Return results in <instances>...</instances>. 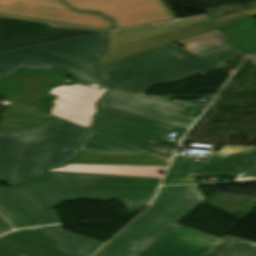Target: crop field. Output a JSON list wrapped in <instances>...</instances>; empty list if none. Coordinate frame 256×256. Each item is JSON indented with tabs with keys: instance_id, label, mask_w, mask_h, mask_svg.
Masks as SVG:
<instances>
[{
	"instance_id": "obj_2",
	"label": "crop field",
	"mask_w": 256,
	"mask_h": 256,
	"mask_svg": "<svg viewBox=\"0 0 256 256\" xmlns=\"http://www.w3.org/2000/svg\"><path fill=\"white\" fill-rule=\"evenodd\" d=\"M159 180L46 173L41 180L5 188L40 224L60 223L54 208L79 199L123 200L129 212L149 203Z\"/></svg>"
},
{
	"instance_id": "obj_12",
	"label": "crop field",
	"mask_w": 256,
	"mask_h": 256,
	"mask_svg": "<svg viewBox=\"0 0 256 256\" xmlns=\"http://www.w3.org/2000/svg\"><path fill=\"white\" fill-rule=\"evenodd\" d=\"M56 91L58 93H55ZM50 94L60 96L55 101L53 115L89 128L93 123V115L97 112L95 103L103 97L105 92L74 85L55 88Z\"/></svg>"
},
{
	"instance_id": "obj_19",
	"label": "crop field",
	"mask_w": 256,
	"mask_h": 256,
	"mask_svg": "<svg viewBox=\"0 0 256 256\" xmlns=\"http://www.w3.org/2000/svg\"><path fill=\"white\" fill-rule=\"evenodd\" d=\"M246 54L256 51V19L253 17L220 28Z\"/></svg>"
},
{
	"instance_id": "obj_14",
	"label": "crop field",
	"mask_w": 256,
	"mask_h": 256,
	"mask_svg": "<svg viewBox=\"0 0 256 256\" xmlns=\"http://www.w3.org/2000/svg\"><path fill=\"white\" fill-rule=\"evenodd\" d=\"M185 49L218 66L224 61L245 54L219 29H215L195 37L177 42Z\"/></svg>"
},
{
	"instance_id": "obj_4",
	"label": "crop field",
	"mask_w": 256,
	"mask_h": 256,
	"mask_svg": "<svg viewBox=\"0 0 256 256\" xmlns=\"http://www.w3.org/2000/svg\"><path fill=\"white\" fill-rule=\"evenodd\" d=\"M218 67L175 45H168L97 70L112 91L144 94L153 85L177 82Z\"/></svg>"
},
{
	"instance_id": "obj_8",
	"label": "crop field",
	"mask_w": 256,
	"mask_h": 256,
	"mask_svg": "<svg viewBox=\"0 0 256 256\" xmlns=\"http://www.w3.org/2000/svg\"><path fill=\"white\" fill-rule=\"evenodd\" d=\"M0 15L46 21L55 26L112 29L111 20L77 12L61 0H0Z\"/></svg>"
},
{
	"instance_id": "obj_9",
	"label": "crop field",
	"mask_w": 256,
	"mask_h": 256,
	"mask_svg": "<svg viewBox=\"0 0 256 256\" xmlns=\"http://www.w3.org/2000/svg\"><path fill=\"white\" fill-rule=\"evenodd\" d=\"M97 33L102 32L53 28L46 23L0 17V52Z\"/></svg>"
},
{
	"instance_id": "obj_7",
	"label": "crop field",
	"mask_w": 256,
	"mask_h": 256,
	"mask_svg": "<svg viewBox=\"0 0 256 256\" xmlns=\"http://www.w3.org/2000/svg\"><path fill=\"white\" fill-rule=\"evenodd\" d=\"M100 106L97 123L92 130L113 137L138 148L171 159L174 149L160 145L168 138L164 136L179 127Z\"/></svg>"
},
{
	"instance_id": "obj_26",
	"label": "crop field",
	"mask_w": 256,
	"mask_h": 256,
	"mask_svg": "<svg viewBox=\"0 0 256 256\" xmlns=\"http://www.w3.org/2000/svg\"><path fill=\"white\" fill-rule=\"evenodd\" d=\"M0 256H23V255L0 248Z\"/></svg>"
},
{
	"instance_id": "obj_3",
	"label": "crop field",
	"mask_w": 256,
	"mask_h": 256,
	"mask_svg": "<svg viewBox=\"0 0 256 256\" xmlns=\"http://www.w3.org/2000/svg\"><path fill=\"white\" fill-rule=\"evenodd\" d=\"M86 128L54 117L31 129L0 131V181L16 184L40 177L43 168L77 154Z\"/></svg>"
},
{
	"instance_id": "obj_25",
	"label": "crop field",
	"mask_w": 256,
	"mask_h": 256,
	"mask_svg": "<svg viewBox=\"0 0 256 256\" xmlns=\"http://www.w3.org/2000/svg\"><path fill=\"white\" fill-rule=\"evenodd\" d=\"M13 230L6 221L0 216V235Z\"/></svg>"
},
{
	"instance_id": "obj_22",
	"label": "crop field",
	"mask_w": 256,
	"mask_h": 256,
	"mask_svg": "<svg viewBox=\"0 0 256 256\" xmlns=\"http://www.w3.org/2000/svg\"><path fill=\"white\" fill-rule=\"evenodd\" d=\"M80 151L146 152L92 130H89Z\"/></svg>"
},
{
	"instance_id": "obj_15",
	"label": "crop field",
	"mask_w": 256,
	"mask_h": 256,
	"mask_svg": "<svg viewBox=\"0 0 256 256\" xmlns=\"http://www.w3.org/2000/svg\"><path fill=\"white\" fill-rule=\"evenodd\" d=\"M0 247L26 255L39 256L68 255L42 228L10 233L0 238Z\"/></svg>"
},
{
	"instance_id": "obj_6",
	"label": "crop field",
	"mask_w": 256,
	"mask_h": 256,
	"mask_svg": "<svg viewBox=\"0 0 256 256\" xmlns=\"http://www.w3.org/2000/svg\"><path fill=\"white\" fill-rule=\"evenodd\" d=\"M104 33L56 43L38 45L20 50L0 53V78L8 76L21 67L26 69L65 68L72 72L80 84L107 90L93 74V65L72 60L37 49L43 48L71 57L94 62L99 52L105 50Z\"/></svg>"
},
{
	"instance_id": "obj_30",
	"label": "crop field",
	"mask_w": 256,
	"mask_h": 256,
	"mask_svg": "<svg viewBox=\"0 0 256 256\" xmlns=\"http://www.w3.org/2000/svg\"><path fill=\"white\" fill-rule=\"evenodd\" d=\"M244 181H256V178H254V179L237 180L236 182H244Z\"/></svg>"
},
{
	"instance_id": "obj_21",
	"label": "crop field",
	"mask_w": 256,
	"mask_h": 256,
	"mask_svg": "<svg viewBox=\"0 0 256 256\" xmlns=\"http://www.w3.org/2000/svg\"><path fill=\"white\" fill-rule=\"evenodd\" d=\"M203 256H256V244L225 235Z\"/></svg>"
},
{
	"instance_id": "obj_28",
	"label": "crop field",
	"mask_w": 256,
	"mask_h": 256,
	"mask_svg": "<svg viewBox=\"0 0 256 256\" xmlns=\"http://www.w3.org/2000/svg\"><path fill=\"white\" fill-rule=\"evenodd\" d=\"M8 107V104H6L5 102H0V110H6Z\"/></svg>"
},
{
	"instance_id": "obj_13",
	"label": "crop field",
	"mask_w": 256,
	"mask_h": 256,
	"mask_svg": "<svg viewBox=\"0 0 256 256\" xmlns=\"http://www.w3.org/2000/svg\"><path fill=\"white\" fill-rule=\"evenodd\" d=\"M218 240L176 224L140 256H202Z\"/></svg>"
},
{
	"instance_id": "obj_29",
	"label": "crop field",
	"mask_w": 256,
	"mask_h": 256,
	"mask_svg": "<svg viewBox=\"0 0 256 256\" xmlns=\"http://www.w3.org/2000/svg\"><path fill=\"white\" fill-rule=\"evenodd\" d=\"M243 12H248L252 16H255L256 15V8L255 9H251V10H247V11H243Z\"/></svg>"
},
{
	"instance_id": "obj_10",
	"label": "crop field",
	"mask_w": 256,
	"mask_h": 256,
	"mask_svg": "<svg viewBox=\"0 0 256 256\" xmlns=\"http://www.w3.org/2000/svg\"><path fill=\"white\" fill-rule=\"evenodd\" d=\"M190 159L176 156L162 185L175 184L188 171L241 172L256 160V147L224 146L201 164H192Z\"/></svg>"
},
{
	"instance_id": "obj_5",
	"label": "crop field",
	"mask_w": 256,
	"mask_h": 256,
	"mask_svg": "<svg viewBox=\"0 0 256 256\" xmlns=\"http://www.w3.org/2000/svg\"><path fill=\"white\" fill-rule=\"evenodd\" d=\"M204 201L196 185L162 187L155 203L94 256H138Z\"/></svg>"
},
{
	"instance_id": "obj_18",
	"label": "crop field",
	"mask_w": 256,
	"mask_h": 256,
	"mask_svg": "<svg viewBox=\"0 0 256 256\" xmlns=\"http://www.w3.org/2000/svg\"><path fill=\"white\" fill-rule=\"evenodd\" d=\"M70 256H91L104 243L61 230L60 225L43 228Z\"/></svg>"
},
{
	"instance_id": "obj_16",
	"label": "crop field",
	"mask_w": 256,
	"mask_h": 256,
	"mask_svg": "<svg viewBox=\"0 0 256 256\" xmlns=\"http://www.w3.org/2000/svg\"><path fill=\"white\" fill-rule=\"evenodd\" d=\"M69 163L167 166L168 159L147 153L81 152Z\"/></svg>"
},
{
	"instance_id": "obj_31",
	"label": "crop field",
	"mask_w": 256,
	"mask_h": 256,
	"mask_svg": "<svg viewBox=\"0 0 256 256\" xmlns=\"http://www.w3.org/2000/svg\"><path fill=\"white\" fill-rule=\"evenodd\" d=\"M43 50V49H42ZM50 52V51H49ZM52 53H54V52H52ZM57 54V53H56ZM59 55H61V54H59ZM62 56H64V55H62ZM66 57H68V56H66ZM69 58H71V57H69ZM73 59H75V58H73ZM77 60H79V59H77ZM82 61V60H81ZM86 62V61H85Z\"/></svg>"
},
{
	"instance_id": "obj_11",
	"label": "crop field",
	"mask_w": 256,
	"mask_h": 256,
	"mask_svg": "<svg viewBox=\"0 0 256 256\" xmlns=\"http://www.w3.org/2000/svg\"><path fill=\"white\" fill-rule=\"evenodd\" d=\"M100 104L186 129H189L196 120L180 115L189 104L177 101L170 102L162 98L109 92Z\"/></svg>"
},
{
	"instance_id": "obj_27",
	"label": "crop field",
	"mask_w": 256,
	"mask_h": 256,
	"mask_svg": "<svg viewBox=\"0 0 256 256\" xmlns=\"http://www.w3.org/2000/svg\"><path fill=\"white\" fill-rule=\"evenodd\" d=\"M247 59L256 65V53L249 55Z\"/></svg>"
},
{
	"instance_id": "obj_17",
	"label": "crop field",
	"mask_w": 256,
	"mask_h": 256,
	"mask_svg": "<svg viewBox=\"0 0 256 256\" xmlns=\"http://www.w3.org/2000/svg\"><path fill=\"white\" fill-rule=\"evenodd\" d=\"M165 169L166 167L153 166L67 164L65 167L46 171L162 178L163 175L159 171H165Z\"/></svg>"
},
{
	"instance_id": "obj_32",
	"label": "crop field",
	"mask_w": 256,
	"mask_h": 256,
	"mask_svg": "<svg viewBox=\"0 0 256 256\" xmlns=\"http://www.w3.org/2000/svg\"><path fill=\"white\" fill-rule=\"evenodd\" d=\"M30 256H33V255H30Z\"/></svg>"
},
{
	"instance_id": "obj_1",
	"label": "crop field",
	"mask_w": 256,
	"mask_h": 256,
	"mask_svg": "<svg viewBox=\"0 0 256 256\" xmlns=\"http://www.w3.org/2000/svg\"><path fill=\"white\" fill-rule=\"evenodd\" d=\"M80 11L114 19L109 51L97 67L251 17L236 13L211 20L207 14L178 20L163 0H65Z\"/></svg>"
},
{
	"instance_id": "obj_23",
	"label": "crop field",
	"mask_w": 256,
	"mask_h": 256,
	"mask_svg": "<svg viewBox=\"0 0 256 256\" xmlns=\"http://www.w3.org/2000/svg\"><path fill=\"white\" fill-rule=\"evenodd\" d=\"M236 176L238 174H222V173H189L184 176L176 184L196 183L197 179L205 178L206 176Z\"/></svg>"
},
{
	"instance_id": "obj_20",
	"label": "crop field",
	"mask_w": 256,
	"mask_h": 256,
	"mask_svg": "<svg viewBox=\"0 0 256 256\" xmlns=\"http://www.w3.org/2000/svg\"><path fill=\"white\" fill-rule=\"evenodd\" d=\"M0 212L16 228L39 225L0 184Z\"/></svg>"
},
{
	"instance_id": "obj_24",
	"label": "crop field",
	"mask_w": 256,
	"mask_h": 256,
	"mask_svg": "<svg viewBox=\"0 0 256 256\" xmlns=\"http://www.w3.org/2000/svg\"><path fill=\"white\" fill-rule=\"evenodd\" d=\"M256 177V162L251 165L246 171H244L241 175L235 177L236 179L243 178H254Z\"/></svg>"
}]
</instances>
